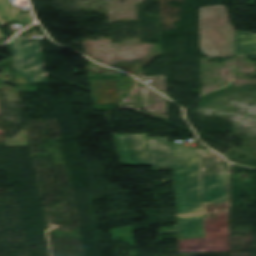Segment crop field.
I'll use <instances>...</instances> for the list:
<instances>
[{"label": "crop field", "mask_w": 256, "mask_h": 256, "mask_svg": "<svg viewBox=\"0 0 256 256\" xmlns=\"http://www.w3.org/2000/svg\"><path fill=\"white\" fill-rule=\"evenodd\" d=\"M3 37H5V36L3 35L2 29L0 28V39L3 38Z\"/></svg>", "instance_id": "10"}, {"label": "crop field", "mask_w": 256, "mask_h": 256, "mask_svg": "<svg viewBox=\"0 0 256 256\" xmlns=\"http://www.w3.org/2000/svg\"><path fill=\"white\" fill-rule=\"evenodd\" d=\"M16 80L17 83H26L25 79H23L21 76H19L18 74L16 75Z\"/></svg>", "instance_id": "9"}, {"label": "crop field", "mask_w": 256, "mask_h": 256, "mask_svg": "<svg viewBox=\"0 0 256 256\" xmlns=\"http://www.w3.org/2000/svg\"><path fill=\"white\" fill-rule=\"evenodd\" d=\"M124 166L173 167L179 239L205 238L203 203L230 202V167L210 150L170 145L148 134L115 135Z\"/></svg>", "instance_id": "1"}, {"label": "crop field", "mask_w": 256, "mask_h": 256, "mask_svg": "<svg viewBox=\"0 0 256 256\" xmlns=\"http://www.w3.org/2000/svg\"><path fill=\"white\" fill-rule=\"evenodd\" d=\"M206 238L229 237V203L204 204Z\"/></svg>", "instance_id": "4"}, {"label": "crop field", "mask_w": 256, "mask_h": 256, "mask_svg": "<svg viewBox=\"0 0 256 256\" xmlns=\"http://www.w3.org/2000/svg\"><path fill=\"white\" fill-rule=\"evenodd\" d=\"M0 15L1 17L26 25L33 23L31 13H20L13 5H11L9 0H0Z\"/></svg>", "instance_id": "6"}, {"label": "crop field", "mask_w": 256, "mask_h": 256, "mask_svg": "<svg viewBox=\"0 0 256 256\" xmlns=\"http://www.w3.org/2000/svg\"><path fill=\"white\" fill-rule=\"evenodd\" d=\"M200 47L208 57H234L235 31L223 5L199 8Z\"/></svg>", "instance_id": "2"}, {"label": "crop field", "mask_w": 256, "mask_h": 256, "mask_svg": "<svg viewBox=\"0 0 256 256\" xmlns=\"http://www.w3.org/2000/svg\"><path fill=\"white\" fill-rule=\"evenodd\" d=\"M10 22V20L4 19V18H0V25L2 27H4L5 25H7Z\"/></svg>", "instance_id": "8"}, {"label": "crop field", "mask_w": 256, "mask_h": 256, "mask_svg": "<svg viewBox=\"0 0 256 256\" xmlns=\"http://www.w3.org/2000/svg\"><path fill=\"white\" fill-rule=\"evenodd\" d=\"M15 71L29 83L49 82L41 42H24L20 33L9 45Z\"/></svg>", "instance_id": "3"}, {"label": "crop field", "mask_w": 256, "mask_h": 256, "mask_svg": "<svg viewBox=\"0 0 256 256\" xmlns=\"http://www.w3.org/2000/svg\"><path fill=\"white\" fill-rule=\"evenodd\" d=\"M256 53V35L241 33L236 35L235 54L238 56Z\"/></svg>", "instance_id": "7"}, {"label": "crop field", "mask_w": 256, "mask_h": 256, "mask_svg": "<svg viewBox=\"0 0 256 256\" xmlns=\"http://www.w3.org/2000/svg\"><path fill=\"white\" fill-rule=\"evenodd\" d=\"M93 100L97 104L118 103L115 80L90 81Z\"/></svg>", "instance_id": "5"}]
</instances>
